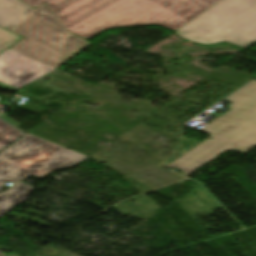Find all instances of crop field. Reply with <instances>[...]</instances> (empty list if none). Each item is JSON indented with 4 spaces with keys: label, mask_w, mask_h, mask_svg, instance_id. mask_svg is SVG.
Wrapping results in <instances>:
<instances>
[{
    "label": "crop field",
    "mask_w": 256,
    "mask_h": 256,
    "mask_svg": "<svg viewBox=\"0 0 256 256\" xmlns=\"http://www.w3.org/2000/svg\"><path fill=\"white\" fill-rule=\"evenodd\" d=\"M85 157L27 134L0 152V188L4 180L16 184L27 175L40 178L56 168L72 167Z\"/></svg>",
    "instance_id": "5"
},
{
    "label": "crop field",
    "mask_w": 256,
    "mask_h": 256,
    "mask_svg": "<svg viewBox=\"0 0 256 256\" xmlns=\"http://www.w3.org/2000/svg\"><path fill=\"white\" fill-rule=\"evenodd\" d=\"M45 3L67 31L86 40L113 28L157 25L176 30L219 0H21Z\"/></svg>",
    "instance_id": "1"
},
{
    "label": "crop field",
    "mask_w": 256,
    "mask_h": 256,
    "mask_svg": "<svg viewBox=\"0 0 256 256\" xmlns=\"http://www.w3.org/2000/svg\"><path fill=\"white\" fill-rule=\"evenodd\" d=\"M32 189L30 185L20 182L11 189L0 193V217L14 206L22 203Z\"/></svg>",
    "instance_id": "8"
},
{
    "label": "crop field",
    "mask_w": 256,
    "mask_h": 256,
    "mask_svg": "<svg viewBox=\"0 0 256 256\" xmlns=\"http://www.w3.org/2000/svg\"><path fill=\"white\" fill-rule=\"evenodd\" d=\"M174 33L204 45L226 41L246 48L256 42V14L236 0H220Z\"/></svg>",
    "instance_id": "4"
},
{
    "label": "crop field",
    "mask_w": 256,
    "mask_h": 256,
    "mask_svg": "<svg viewBox=\"0 0 256 256\" xmlns=\"http://www.w3.org/2000/svg\"><path fill=\"white\" fill-rule=\"evenodd\" d=\"M22 133L0 120V149Z\"/></svg>",
    "instance_id": "9"
},
{
    "label": "crop field",
    "mask_w": 256,
    "mask_h": 256,
    "mask_svg": "<svg viewBox=\"0 0 256 256\" xmlns=\"http://www.w3.org/2000/svg\"><path fill=\"white\" fill-rule=\"evenodd\" d=\"M250 8L254 9L256 11V0H240Z\"/></svg>",
    "instance_id": "11"
},
{
    "label": "crop field",
    "mask_w": 256,
    "mask_h": 256,
    "mask_svg": "<svg viewBox=\"0 0 256 256\" xmlns=\"http://www.w3.org/2000/svg\"><path fill=\"white\" fill-rule=\"evenodd\" d=\"M32 11L18 0H0V26L10 30Z\"/></svg>",
    "instance_id": "7"
},
{
    "label": "crop field",
    "mask_w": 256,
    "mask_h": 256,
    "mask_svg": "<svg viewBox=\"0 0 256 256\" xmlns=\"http://www.w3.org/2000/svg\"><path fill=\"white\" fill-rule=\"evenodd\" d=\"M0 117H2L3 119L7 120L8 122L12 123L15 126H19L20 124H18L17 122H15L14 120H12L11 118L8 117V115H6L5 113L0 111Z\"/></svg>",
    "instance_id": "12"
},
{
    "label": "crop field",
    "mask_w": 256,
    "mask_h": 256,
    "mask_svg": "<svg viewBox=\"0 0 256 256\" xmlns=\"http://www.w3.org/2000/svg\"><path fill=\"white\" fill-rule=\"evenodd\" d=\"M230 110L199 130L211 135L167 165L188 176L225 150L248 152L256 146V81L228 98Z\"/></svg>",
    "instance_id": "2"
},
{
    "label": "crop field",
    "mask_w": 256,
    "mask_h": 256,
    "mask_svg": "<svg viewBox=\"0 0 256 256\" xmlns=\"http://www.w3.org/2000/svg\"><path fill=\"white\" fill-rule=\"evenodd\" d=\"M11 31L25 37L11 49L55 68L89 45L88 41L67 32L44 4Z\"/></svg>",
    "instance_id": "3"
},
{
    "label": "crop field",
    "mask_w": 256,
    "mask_h": 256,
    "mask_svg": "<svg viewBox=\"0 0 256 256\" xmlns=\"http://www.w3.org/2000/svg\"><path fill=\"white\" fill-rule=\"evenodd\" d=\"M20 38L22 37L0 28V52L17 40H19Z\"/></svg>",
    "instance_id": "10"
},
{
    "label": "crop field",
    "mask_w": 256,
    "mask_h": 256,
    "mask_svg": "<svg viewBox=\"0 0 256 256\" xmlns=\"http://www.w3.org/2000/svg\"><path fill=\"white\" fill-rule=\"evenodd\" d=\"M54 69L8 49L0 54V88L18 90Z\"/></svg>",
    "instance_id": "6"
},
{
    "label": "crop field",
    "mask_w": 256,
    "mask_h": 256,
    "mask_svg": "<svg viewBox=\"0 0 256 256\" xmlns=\"http://www.w3.org/2000/svg\"><path fill=\"white\" fill-rule=\"evenodd\" d=\"M239 1V0H238ZM240 2V1H239ZM242 3V2H241ZM243 4V3H242ZM246 6V5H245ZM247 7V6H246ZM249 8V7H248ZM250 9V8H249ZM250 10H252V9H250ZM253 12H255L254 10H252ZM256 13V12H255Z\"/></svg>",
    "instance_id": "13"
}]
</instances>
